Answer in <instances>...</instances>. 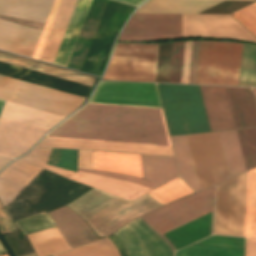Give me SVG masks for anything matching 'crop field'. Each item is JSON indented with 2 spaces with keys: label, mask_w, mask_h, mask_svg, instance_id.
<instances>
[{
  "label": "crop field",
  "mask_w": 256,
  "mask_h": 256,
  "mask_svg": "<svg viewBox=\"0 0 256 256\" xmlns=\"http://www.w3.org/2000/svg\"><path fill=\"white\" fill-rule=\"evenodd\" d=\"M46 137L171 146L162 109L95 103Z\"/></svg>",
  "instance_id": "1"
},
{
  "label": "crop field",
  "mask_w": 256,
  "mask_h": 256,
  "mask_svg": "<svg viewBox=\"0 0 256 256\" xmlns=\"http://www.w3.org/2000/svg\"><path fill=\"white\" fill-rule=\"evenodd\" d=\"M159 205L147 194L129 202L92 188L67 206L102 237Z\"/></svg>",
  "instance_id": "2"
},
{
  "label": "crop field",
  "mask_w": 256,
  "mask_h": 256,
  "mask_svg": "<svg viewBox=\"0 0 256 256\" xmlns=\"http://www.w3.org/2000/svg\"><path fill=\"white\" fill-rule=\"evenodd\" d=\"M54 0H0V14L46 22ZM41 30L0 20V49L32 57Z\"/></svg>",
  "instance_id": "3"
},
{
  "label": "crop field",
  "mask_w": 256,
  "mask_h": 256,
  "mask_svg": "<svg viewBox=\"0 0 256 256\" xmlns=\"http://www.w3.org/2000/svg\"><path fill=\"white\" fill-rule=\"evenodd\" d=\"M0 62L11 64L14 66L22 67L25 69L33 70L43 74L51 75L54 77L62 78L65 80L73 81L87 86H93L97 77L89 76L86 74L78 73L75 71L67 70L64 68L56 67L53 65L45 64L42 62L34 61L31 59L23 58L20 56L12 55L0 51ZM0 63V74L17 78L20 80L28 81L45 87L53 88L70 94L87 97L91 87L83 86L80 84L72 83L62 79L54 78L51 76L43 75L40 73L32 72L22 68L14 67L11 65Z\"/></svg>",
  "instance_id": "4"
},
{
  "label": "crop field",
  "mask_w": 256,
  "mask_h": 256,
  "mask_svg": "<svg viewBox=\"0 0 256 256\" xmlns=\"http://www.w3.org/2000/svg\"><path fill=\"white\" fill-rule=\"evenodd\" d=\"M158 86L171 135L210 131L199 86Z\"/></svg>",
  "instance_id": "5"
},
{
  "label": "crop field",
  "mask_w": 256,
  "mask_h": 256,
  "mask_svg": "<svg viewBox=\"0 0 256 256\" xmlns=\"http://www.w3.org/2000/svg\"><path fill=\"white\" fill-rule=\"evenodd\" d=\"M242 44L200 41L196 84L238 86Z\"/></svg>",
  "instance_id": "6"
},
{
  "label": "crop field",
  "mask_w": 256,
  "mask_h": 256,
  "mask_svg": "<svg viewBox=\"0 0 256 256\" xmlns=\"http://www.w3.org/2000/svg\"><path fill=\"white\" fill-rule=\"evenodd\" d=\"M0 99L68 116L85 100L53 89L0 75Z\"/></svg>",
  "instance_id": "7"
},
{
  "label": "crop field",
  "mask_w": 256,
  "mask_h": 256,
  "mask_svg": "<svg viewBox=\"0 0 256 256\" xmlns=\"http://www.w3.org/2000/svg\"><path fill=\"white\" fill-rule=\"evenodd\" d=\"M158 44H116L102 80L155 82Z\"/></svg>",
  "instance_id": "8"
},
{
  "label": "crop field",
  "mask_w": 256,
  "mask_h": 256,
  "mask_svg": "<svg viewBox=\"0 0 256 256\" xmlns=\"http://www.w3.org/2000/svg\"><path fill=\"white\" fill-rule=\"evenodd\" d=\"M215 187L142 217L160 235L214 210Z\"/></svg>",
  "instance_id": "9"
},
{
  "label": "crop field",
  "mask_w": 256,
  "mask_h": 256,
  "mask_svg": "<svg viewBox=\"0 0 256 256\" xmlns=\"http://www.w3.org/2000/svg\"><path fill=\"white\" fill-rule=\"evenodd\" d=\"M136 7L108 0L94 38L84 60L81 72L99 76L110 43ZM114 40V39H113Z\"/></svg>",
  "instance_id": "10"
},
{
  "label": "crop field",
  "mask_w": 256,
  "mask_h": 256,
  "mask_svg": "<svg viewBox=\"0 0 256 256\" xmlns=\"http://www.w3.org/2000/svg\"><path fill=\"white\" fill-rule=\"evenodd\" d=\"M182 14H134L118 41L181 38Z\"/></svg>",
  "instance_id": "11"
},
{
  "label": "crop field",
  "mask_w": 256,
  "mask_h": 256,
  "mask_svg": "<svg viewBox=\"0 0 256 256\" xmlns=\"http://www.w3.org/2000/svg\"><path fill=\"white\" fill-rule=\"evenodd\" d=\"M256 39L229 15L183 14L182 38Z\"/></svg>",
  "instance_id": "12"
},
{
  "label": "crop field",
  "mask_w": 256,
  "mask_h": 256,
  "mask_svg": "<svg viewBox=\"0 0 256 256\" xmlns=\"http://www.w3.org/2000/svg\"><path fill=\"white\" fill-rule=\"evenodd\" d=\"M90 102L162 108L156 84L100 82Z\"/></svg>",
  "instance_id": "13"
},
{
  "label": "crop field",
  "mask_w": 256,
  "mask_h": 256,
  "mask_svg": "<svg viewBox=\"0 0 256 256\" xmlns=\"http://www.w3.org/2000/svg\"><path fill=\"white\" fill-rule=\"evenodd\" d=\"M47 132L0 117V155L16 158L26 153Z\"/></svg>",
  "instance_id": "14"
},
{
  "label": "crop field",
  "mask_w": 256,
  "mask_h": 256,
  "mask_svg": "<svg viewBox=\"0 0 256 256\" xmlns=\"http://www.w3.org/2000/svg\"><path fill=\"white\" fill-rule=\"evenodd\" d=\"M141 158H142L144 178L158 185L139 179V178L124 176L120 174L106 173V172H100V171H94V170H84V169H78V170L105 176V177H110L114 179H119L123 181H128L131 183H135V184L153 188V189H156L161 185L167 183L168 181L179 176L174 158L146 156V155H141Z\"/></svg>",
  "instance_id": "15"
},
{
  "label": "crop field",
  "mask_w": 256,
  "mask_h": 256,
  "mask_svg": "<svg viewBox=\"0 0 256 256\" xmlns=\"http://www.w3.org/2000/svg\"><path fill=\"white\" fill-rule=\"evenodd\" d=\"M37 146L173 156L171 147L44 138Z\"/></svg>",
  "instance_id": "16"
},
{
  "label": "crop field",
  "mask_w": 256,
  "mask_h": 256,
  "mask_svg": "<svg viewBox=\"0 0 256 256\" xmlns=\"http://www.w3.org/2000/svg\"><path fill=\"white\" fill-rule=\"evenodd\" d=\"M200 88L211 131L235 128L225 87Z\"/></svg>",
  "instance_id": "17"
},
{
  "label": "crop field",
  "mask_w": 256,
  "mask_h": 256,
  "mask_svg": "<svg viewBox=\"0 0 256 256\" xmlns=\"http://www.w3.org/2000/svg\"><path fill=\"white\" fill-rule=\"evenodd\" d=\"M71 248L98 240L90 227L67 206L50 212Z\"/></svg>",
  "instance_id": "18"
},
{
  "label": "crop field",
  "mask_w": 256,
  "mask_h": 256,
  "mask_svg": "<svg viewBox=\"0 0 256 256\" xmlns=\"http://www.w3.org/2000/svg\"><path fill=\"white\" fill-rule=\"evenodd\" d=\"M72 180L117 195L129 201L153 190L135 184L127 183L128 181L123 182L79 171H77V174L72 178Z\"/></svg>",
  "instance_id": "19"
},
{
  "label": "crop field",
  "mask_w": 256,
  "mask_h": 256,
  "mask_svg": "<svg viewBox=\"0 0 256 256\" xmlns=\"http://www.w3.org/2000/svg\"><path fill=\"white\" fill-rule=\"evenodd\" d=\"M213 216L214 211L210 213V226H209V214L200 217L188 224H185L167 234L166 237L178 248V250L195 243L208 236V226L209 235L212 234L213 228ZM164 235L162 237L170 244L174 251L177 248L167 239Z\"/></svg>",
  "instance_id": "20"
},
{
  "label": "crop field",
  "mask_w": 256,
  "mask_h": 256,
  "mask_svg": "<svg viewBox=\"0 0 256 256\" xmlns=\"http://www.w3.org/2000/svg\"><path fill=\"white\" fill-rule=\"evenodd\" d=\"M94 169L143 178L140 155L93 152Z\"/></svg>",
  "instance_id": "21"
},
{
  "label": "crop field",
  "mask_w": 256,
  "mask_h": 256,
  "mask_svg": "<svg viewBox=\"0 0 256 256\" xmlns=\"http://www.w3.org/2000/svg\"><path fill=\"white\" fill-rule=\"evenodd\" d=\"M226 89L236 128L256 126V110L250 88Z\"/></svg>",
  "instance_id": "22"
},
{
  "label": "crop field",
  "mask_w": 256,
  "mask_h": 256,
  "mask_svg": "<svg viewBox=\"0 0 256 256\" xmlns=\"http://www.w3.org/2000/svg\"><path fill=\"white\" fill-rule=\"evenodd\" d=\"M77 0H63L46 41L40 61L53 63Z\"/></svg>",
  "instance_id": "23"
},
{
  "label": "crop field",
  "mask_w": 256,
  "mask_h": 256,
  "mask_svg": "<svg viewBox=\"0 0 256 256\" xmlns=\"http://www.w3.org/2000/svg\"><path fill=\"white\" fill-rule=\"evenodd\" d=\"M92 0H78L53 64L66 67Z\"/></svg>",
  "instance_id": "24"
},
{
  "label": "crop field",
  "mask_w": 256,
  "mask_h": 256,
  "mask_svg": "<svg viewBox=\"0 0 256 256\" xmlns=\"http://www.w3.org/2000/svg\"><path fill=\"white\" fill-rule=\"evenodd\" d=\"M4 102V100H0V112ZM0 116L47 128L49 130L64 118L7 101L5 102Z\"/></svg>",
  "instance_id": "25"
},
{
  "label": "crop field",
  "mask_w": 256,
  "mask_h": 256,
  "mask_svg": "<svg viewBox=\"0 0 256 256\" xmlns=\"http://www.w3.org/2000/svg\"><path fill=\"white\" fill-rule=\"evenodd\" d=\"M124 227L136 237L145 256H174L168 244L140 218Z\"/></svg>",
  "instance_id": "26"
},
{
  "label": "crop field",
  "mask_w": 256,
  "mask_h": 256,
  "mask_svg": "<svg viewBox=\"0 0 256 256\" xmlns=\"http://www.w3.org/2000/svg\"><path fill=\"white\" fill-rule=\"evenodd\" d=\"M222 1L149 0L136 13H200Z\"/></svg>",
  "instance_id": "27"
},
{
  "label": "crop field",
  "mask_w": 256,
  "mask_h": 256,
  "mask_svg": "<svg viewBox=\"0 0 256 256\" xmlns=\"http://www.w3.org/2000/svg\"><path fill=\"white\" fill-rule=\"evenodd\" d=\"M180 176L195 190L199 185L186 136L171 137Z\"/></svg>",
  "instance_id": "28"
},
{
  "label": "crop field",
  "mask_w": 256,
  "mask_h": 256,
  "mask_svg": "<svg viewBox=\"0 0 256 256\" xmlns=\"http://www.w3.org/2000/svg\"><path fill=\"white\" fill-rule=\"evenodd\" d=\"M230 178L245 171L235 130L219 132Z\"/></svg>",
  "instance_id": "29"
},
{
  "label": "crop field",
  "mask_w": 256,
  "mask_h": 256,
  "mask_svg": "<svg viewBox=\"0 0 256 256\" xmlns=\"http://www.w3.org/2000/svg\"><path fill=\"white\" fill-rule=\"evenodd\" d=\"M244 237L256 238V168L249 171Z\"/></svg>",
  "instance_id": "30"
},
{
  "label": "crop field",
  "mask_w": 256,
  "mask_h": 256,
  "mask_svg": "<svg viewBox=\"0 0 256 256\" xmlns=\"http://www.w3.org/2000/svg\"><path fill=\"white\" fill-rule=\"evenodd\" d=\"M53 256H119V253L115 245L108 238H105Z\"/></svg>",
  "instance_id": "31"
},
{
  "label": "crop field",
  "mask_w": 256,
  "mask_h": 256,
  "mask_svg": "<svg viewBox=\"0 0 256 256\" xmlns=\"http://www.w3.org/2000/svg\"><path fill=\"white\" fill-rule=\"evenodd\" d=\"M246 169L256 166V127L236 130Z\"/></svg>",
  "instance_id": "32"
},
{
  "label": "crop field",
  "mask_w": 256,
  "mask_h": 256,
  "mask_svg": "<svg viewBox=\"0 0 256 256\" xmlns=\"http://www.w3.org/2000/svg\"><path fill=\"white\" fill-rule=\"evenodd\" d=\"M40 171L41 169L39 168L15 161L4 169L0 175L25 186Z\"/></svg>",
  "instance_id": "33"
},
{
  "label": "crop field",
  "mask_w": 256,
  "mask_h": 256,
  "mask_svg": "<svg viewBox=\"0 0 256 256\" xmlns=\"http://www.w3.org/2000/svg\"><path fill=\"white\" fill-rule=\"evenodd\" d=\"M15 223L18 229L22 231V234L32 233L55 227V224L51 217L44 212L28 218L17 220L15 221Z\"/></svg>",
  "instance_id": "34"
},
{
  "label": "crop field",
  "mask_w": 256,
  "mask_h": 256,
  "mask_svg": "<svg viewBox=\"0 0 256 256\" xmlns=\"http://www.w3.org/2000/svg\"><path fill=\"white\" fill-rule=\"evenodd\" d=\"M176 256H243L244 250L189 246Z\"/></svg>",
  "instance_id": "35"
},
{
  "label": "crop field",
  "mask_w": 256,
  "mask_h": 256,
  "mask_svg": "<svg viewBox=\"0 0 256 256\" xmlns=\"http://www.w3.org/2000/svg\"><path fill=\"white\" fill-rule=\"evenodd\" d=\"M77 159L78 151L53 149L48 164L76 172Z\"/></svg>",
  "instance_id": "36"
},
{
  "label": "crop field",
  "mask_w": 256,
  "mask_h": 256,
  "mask_svg": "<svg viewBox=\"0 0 256 256\" xmlns=\"http://www.w3.org/2000/svg\"><path fill=\"white\" fill-rule=\"evenodd\" d=\"M172 43L159 44L156 82L168 83Z\"/></svg>",
  "instance_id": "37"
},
{
  "label": "crop field",
  "mask_w": 256,
  "mask_h": 256,
  "mask_svg": "<svg viewBox=\"0 0 256 256\" xmlns=\"http://www.w3.org/2000/svg\"><path fill=\"white\" fill-rule=\"evenodd\" d=\"M183 47L184 42L173 43L169 83H180Z\"/></svg>",
  "instance_id": "38"
},
{
  "label": "crop field",
  "mask_w": 256,
  "mask_h": 256,
  "mask_svg": "<svg viewBox=\"0 0 256 256\" xmlns=\"http://www.w3.org/2000/svg\"><path fill=\"white\" fill-rule=\"evenodd\" d=\"M234 14L233 17L256 37V2Z\"/></svg>",
  "instance_id": "39"
},
{
  "label": "crop field",
  "mask_w": 256,
  "mask_h": 256,
  "mask_svg": "<svg viewBox=\"0 0 256 256\" xmlns=\"http://www.w3.org/2000/svg\"><path fill=\"white\" fill-rule=\"evenodd\" d=\"M195 245L243 248V238L212 236Z\"/></svg>",
  "instance_id": "40"
},
{
  "label": "crop field",
  "mask_w": 256,
  "mask_h": 256,
  "mask_svg": "<svg viewBox=\"0 0 256 256\" xmlns=\"http://www.w3.org/2000/svg\"><path fill=\"white\" fill-rule=\"evenodd\" d=\"M23 187L0 176V201L8 205Z\"/></svg>",
  "instance_id": "41"
},
{
  "label": "crop field",
  "mask_w": 256,
  "mask_h": 256,
  "mask_svg": "<svg viewBox=\"0 0 256 256\" xmlns=\"http://www.w3.org/2000/svg\"><path fill=\"white\" fill-rule=\"evenodd\" d=\"M61 1H62V0H55V2H54V4H53L52 10H51L50 15H49V17H48V20H47V22H46V25H45V27H44V30H43V32H42V35H41V37H40V40H39L38 45H37V47H36V50H35V52H34V55H33V57H32L33 59H37V60H38L39 57H40V54H41L42 49H43V47H44L45 41H46V39H47V36H48V34H49V31H50V29H51V26H52V24H53V21H54V19H55V16H56V14H57V11H58V9H59V6H60Z\"/></svg>",
  "instance_id": "42"
},
{
  "label": "crop field",
  "mask_w": 256,
  "mask_h": 256,
  "mask_svg": "<svg viewBox=\"0 0 256 256\" xmlns=\"http://www.w3.org/2000/svg\"><path fill=\"white\" fill-rule=\"evenodd\" d=\"M125 244L130 256H144L135 237L124 227L115 233Z\"/></svg>",
  "instance_id": "43"
},
{
  "label": "crop field",
  "mask_w": 256,
  "mask_h": 256,
  "mask_svg": "<svg viewBox=\"0 0 256 256\" xmlns=\"http://www.w3.org/2000/svg\"><path fill=\"white\" fill-rule=\"evenodd\" d=\"M192 41L185 42L181 83L188 84Z\"/></svg>",
  "instance_id": "44"
},
{
  "label": "crop field",
  "mask_w": 256,
  "mask_h": 256,
  "mask_svg": "<svg viewBox=\"0 0 256 256\" xmlns=\"http://www.w3.org/2000/svg\"><path fill=\"white\" fill-rule=\"evenodd\" d=\"M50 150L51 149L34 148L29 154L25 155L23 158L47 164Z\"/></svg>",
  "instance_id": "45"
},
{
  "label": "crop field",
  "mask_w": 256,
  "mask_h": 256,
  "mask_svg": "<svg viewBox=\"0 0 256 256\" xmlns=\"http://www.w3.org/2000/svg\"><path fill=\"white\" fill-rule=\"evenodd\" d=\"M199 41H193L189 84H195Z\"/></svg>",
  "instance_id": "46"
},
{
  "label": "crop field",
  "mask_w": 256,
  "mask_h": 256,
  "mask_svg": "<svg viewBox=\"0 0 256 256\" xmlns=\"http://www.w3.org/2000/svg\"><path fill=\"white\" fill-rule=\"evenodd\" d=\"M19 160L27 162V163L32 164V165H36V166L48 169V170L53 171V172H56V173L66 177L68 179H70L75 174L74 172H70V171L59 169V168L52 167V166H49V165L37 163V162L30 161V160H27V159L20 158Z\"/></svg>",
  "instance_id": "47"
},
{
  "label": "crop field",
  "mask_w": 256,
  "mask_h": 256,
  "mask_svg": "<svg viewBox=\"0 0 256 256\" xmlns=\"http://www.w3.org/2000/svg\"><path fill=\"white\" fill-rule=\"evenodd\" d=\"M78 168L93 169L92 152L79 151Z\"/></svg>",
  "instance_id": "48"
},
{
  "label": "crop field",
  "mask_w": 256,
  "mask_h": 256,
  "mask_svg": "<svg viewBox=\"0 0 256 256\" xmlns=\"http://www.w3.org/2000/svg\"><path fill=\"white\" fill-rule=\"evenodd\" d=\"M109 239L116 245L121 256H129L125 246L115 234Z\"/></svg>",
  "instance_id": "49"
},
{
  "label": "crop field",
  "mask_w": 256,
  "mask_h": 256,
  "mask_svg": "<svg viewBox=\"0 0 256 256\" xmlns=\"http://www.w3.org/2000/svg\"><path fill=\"white\" fill-rule=\"evenodd\" d=\"M246 256H256V239H247Z\"/></svg>",
  "instance_id": "50"
},
{
  "label": "crop field",
  "mask_w": 256,
  "mask_h": 256,
  "mask_svg": "<svg viewBox=\"0 0 256 256\" xmlns=\"http://www.w3.org/2000/svg\"><path fill=\"white\" fill-rule=\"evenodd\" d=\"M11 161V159L1 157L0 156V169H2L6 164H8Z\"/></svg>",
  "instance_id": "51"
},
{
  "label": "crop field",
  "mask_w": 256,
  "mask_h": 256,
  "mask_svg": "<svg viewBox=\"0 0 256 256\" xmlns=\"http://www.w3.org/2000/svg\"><path fill=\"white\" fill-rule=\"evenodd\" d=\"M121 2H125V3H129V4H133V5H139L141 2H143L144 0H118ZM142 4V3H141Z\"/></svg>",
  "instance_id": "52"
},
{
  "label": "crop field",
  "mask_w": 256,
  "mask_h": 256,
  "mask_svg": "<svg viewBox=\"0 0 256 256\" xmlns=\"http://www.w3.org/2000/svg\"><path fill=\"white\" fill-rule=\"evenodd\" d=\"M7 251L4 249V247L2 246V244L0 243V254L2 253H6Z\"/></svg>",
  "instance_id": "53"
},
{
  "label": "crop field",
  "mask_w": 256,
  "mask_h": 256,
  "mask_svg": "<svg viewBox=\"0 0 256 256\" xmlns=\"http://www.w3.org/2000/svg\"><path fill=\"white\" fill-rule=\"evenodd\" d=\"M255 99H256V88H253Z\"/></svg>",
  "instance_id": "54"
},
{
  "label": "crop field",
  "mask_w": 256,
  "mask_h": 256,
  "mask_svg": "<svg viewBox=\"0 0 256 256\" xmlns=\"http://www.w3.org/2000/svg\"><path fill=\"white\" fill-rule=\"evenodd\" d=\"M28 256H34V254H32V255H28Z\"/></svg>",
  "instance_id": "55"
}]
</instances>
